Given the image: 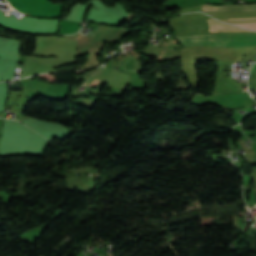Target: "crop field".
<instances>
[{
  "label": "crop field",
  "mask_w": 256,
  "mask_h": 256,
  "mask_svg": "<svg viewBox=\"0 0 256 256\" xmlns=\"http://www.w3.org/2000/svg\"><path fill=\"white\" fill-rule=\"evenodd\" d=\"M165 50V49H164ZM164 52V51H163Z\"/></svg>",
  "instance_id": "6"
},
{
  "label": "crop field",
  "mask_w": 256,
  "mask_h": 256,
  "mask_svg": "<svg viewBox=\"0 0 256 256\" xmlns=\"http://www.w3.org/2000/svg\"><path fill=\"white\" fill-rule=\"evenodd\" d=\"M81 36V34L77 37V39Z\"/></svg>",
  "instance_id": "5"
},
{
  "label": "crop field",
  "mask_w": 256,
  "mask_h": 256,
  "mask_svg": "<svg viewBox=\"0 0 256 256\" xmlns=\"http://www.w3.org/2000/svg\"><path fill=\"white\" fill-rule=\"evenodd\" d=\"M208 21L210 25L209 32H250L247 30L236 28L232 25L223 24L212 19H208Z\"/></svg>",
  "instance_id": "3"
},
{
  "label": "crop field",
  "mask_w": 256,
  "mask_h": 256,
  "mask_svg": "<svg viewBox=\"0 0 256 256\" xmlns=\"http://www.w3.org/2000/svg\"><path fill=\"white\" fill-rule=\"evenodd\" d=\"M176 38L183 46H251L256 45V32L223 34H187Z\"/></svg>",
  "instance_id": "1"
},
{
  "label": "crop field",
  "mask_w": 256,
  "mask_h": 256,
  "mask_svg": "<svg viewBox=\"0 0 256 256\" xmlns=\"http://www.w3.org/2000/svg\"><path fill=\"white\" fill-rule=\"evenodd\" d=\"M247 19H252V18H247ZM220 20L233 23L236 25L256 24V18H254V20H244V21H233L232 19H220ZM234 20H243V19H234Z\"/></svg>",
  "instance_id": "4"
},
{
  "label": "crop field",
  "mask_w": 256,
  "mask_h": 256,
  "mask_svg": "<svg viewBox=\"0 0 256 256\" xmlns=\"http://www.w3.org/2000/svg\"><path fill=\"white\" fill-rule=\"evenodd\" d=\"M202 10L228 11V12L256 11V4L255 5L226 6V7H212V6H208V5H202Z\"/></svg>",
  "instance_id": "2"
}]
</instances>
